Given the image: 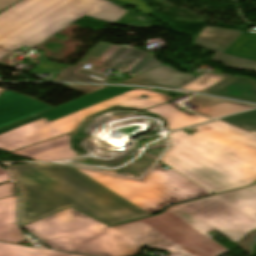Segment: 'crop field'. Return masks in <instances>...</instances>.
<instances>
[{
    "label": "crop field",
    "instance_id": "1",
    "mask_svg": "<svg viewBox=\"0 0 256 256\" xmlns=\"http://www.w3.org/2000/svg\"><path fill=\"white\" fill-rule=\"evenodd\" d=\"M24 227L53 249L74 253L134 256L145 245L170 256H219L229 250L207 233L235 243L256 229V184L110 228L72 208Z\"/></svg>",
    "mask_w": 256,
    "mask_h": 256
},
{
    "label": "crop field",
    "instance_id": "2",
    "mask_svg": "<svg viewBox=\"0 0 256 256\" xmlns=\"http://www.w3.org/2000/svg\"><path fill=\"white\" fill-rule=\"evenodd\" d=\"M169 134L172 147L160 161L210 191L219 193L256 181V136L217 121Z\"/></svg>",
    "mask_w": 256,
    "mask_h": 256
},
{
    "label": "crop field",
    "instance_id": "3",
    "mask_svg": "<svg viewBox=\"0 0 256 256\" xmlns=\"http://www.w3.org/2000/svg\"><path fill=\"white\" fill-rule=\"evenodd\" d=\"M22 194L21 226L73 207L108 225L149 216L102 185L68 166H9Z\"/></svg>",
    "mask_w": 256,
    "mask_h": 256
},
{
    "label": "crop field",
    "instance_id": "4",
    "mask_svg": "<svg viewBox=\"0 0 256 256\" xmlns=\"http://www.w3.org/2000/svg\"><path fill=\"white\" fill-rule=\"evenodd\" d=\"M127 10L107 0H22L0 14V60L23 46L36 47L78 19L114 24Z\"/></svg>",
    "mask_w": 256,
    "mask_h": 256
},
{
    "label": "crop field",
    "instance_id": "5",
    "mask_svg": "<svg viewBox=\"0 0 256 256\" xmlns=\"http://www.w3.org/2000/svg\"><path fill=\"white\" fill-rule=\"evenodd\" d=\"M158 164L143 182L79 170L147 213L155 214L172 203L207 195L208 191L173 170Z\"/></svg>",
    "mask_w": 256,
    "mask_h": 256
},
{
    "label": "crop field",
    "instance_id": "6",
    "mask_svg": "<svg viewBox=\"0 0 256 256\" xmlns=\"http://www.w3.org/2000/svg\"><path fill=\"white\" fill-rule=\"evenodd\" d=\"M141 96H147L149 98L141 99ZM170 100H172L170 97L162 94L145 91L143 89H133L127 93L80 110L52 123L47 121L45 118H42L3 133L0 135V149L10 152L39 141L51 139L68 133L72 131L84 117L112 105H120L143 110Z\"/></svg>",
    "mask_w": 256,
    "mask_h": 256
},
{
    "label": "crop field",
    "instance_id": "7",
    "mask_svg": "<svg viewBox=\"0 0 256 256\" xmlns=\"http://www.w3.org/2000/svg\"><path fill=\"white\" fill-rule=\"evenodd\" d=\"M194 43L216 52L211 60L219 61L228 68L252 71L256 66V64L225 55L256 58L255 34L206 27L196 37Z\"/></svg>",
    "mask_w": 256,
    "mask_h": 256
},
{
    "label": "crop field",
    "instance_id": "8",
    "mask_svg": "<svg viewBox=\"0 0 256 256\" xmlns=\"http://www.w3.org/2000/svg\"><path fill=\"white\" fill-rule=\"evenodd\" d=\"M129 48L100 42L77 64L74 66L68 65L53 81L103 83L107 75L81 68L89 63L94 64L92 70L103 72Z\"/></svg>",
    "mask_w": 256,
    "mask_h": 256
},
{
    "label": "crop field",
    "instance_id": "9",
    "mask_svg": "<svg viewBox=\"0 0 256 256\" xmlns=\"http://www.w3.org/2000/svg\"><path fill=\"white\" fill-rule=\"evenodd\" d=\"M133 88H127V87H107L102 90L93 92L91 94H88L86 96H83L81 98L75 99L73 101H70L68 103H65L63 105L57 106L55 108H52L44 113H41L39 115L33 116L31 118L25 119L23 121L14 123L12 125L6 126L4 128L0 129V134L3 132H6L8 130L14 129L16 127H19L21 125L27 124L29 122H32L34 120L40 119L42 117H45L50 122L59 119L61 117L67 116L69 114H72L80 109H83L85 107L91 106L93 104L102 102L104 100L110 99L114 96H117L119 94H122L124 92H127Z\"/></svg>",
    "mask_w": 256,
    "mask_h": 256
},
{
    "label": "crop field",
    "instance_id": "10",
    "mask_svg": "<svg viewBox=\"0 0 256 256\" xmlns=\"http://www.w3.org/2000/svg\"><path fill=\"white\" fill-rule=\"evenodd\" d=\"M52 108L25 95L4 90L0 94V128Z\"/></svg>",
    "mask_w": 256,
    "mask_h": 256
},
{
    "label": "crop field",
    "instance_id": "11",
    "mask_svg": "<svg viewBox=\"0 0 256 256\" xmlns=\"http://www.w3.org/2000/svg\"><path fill=\"white\" fill-rule=\"evenodd\" d=\"M69 137L70 135L55 138L11 153L39 161H56L75 157V152L69 146Z\"/></svg>",
    "mask_w": 256,
    "mask_h": 256
},
{
    "label": "crop field",
    "instance_id": "12",
    "mask_svg": "<svg viewBox=\"0 0 256 256\" xmlns=\"http://www.w3.org/2000/svg\"><path fill=\"white\" fill-rule=\"evenodd\" d=\"M193 78L194 76L191 74L181 73L169 66L162 65L156 69L125 80L123 83L178 88Z\"/></svg>",
    "mask_w": 256,
    "mask_h": 256
},
{
    "label": "crop field",
    "instance_id": "13",
    "mask_svg": "<svg viewBox=\"0 0 256 256\" xmlns=\"http://www.w3.org/2000/svg\"><path fill=\"white\" fill-rule=\"evenodd\" d=\"M202 93L256 102V80L245 76H232Z\"/></svg>",
    "mask_w": 256,
    "mask_h": 256
},
{
    "label": "crop field",
    "instance_id": "14",
    "mask_svg": "<svg viewBox=\"0 0 256 256\" xmlns=\"http://www.w3.org/2000/svg\"><path fill=\"white\" fill-rule=\"evenodd\" d=\"M18 195L0 199V240L20 244L25 241L16 220Z\"/></svg>",
    "mask_w": 256,
    "mask_h": 256
},
{
    "label": "crop field",
    "instance_id": "15",
    "mask_svg": "<svg viewBox=\"0 0 256 256\" xmlns=\"http://www.w3.org/2000/svg\"><path fill=\"white\" fill-rule=\"evenodd\" d=\"M155 57L133 47L112 69L125 72L133 77L163 64L154 59Z\"/></svg>",
    "mask_w": 256,
    "mask_h": 256
},
{
    "label": "crop field",
    "instance_id": "16",
    "mask_svg": "<svg viewBox=\"0 0 256 256\" xmlns=\"http://www.w3.org/2000/svg\"><path fill=\"white\" fill-rule=\"evenodd\" d=\"M189 101L201 107L197 110H194V112L204 117L224 116L233 114L237 111L246 110L254 107L200 96H195L191 98Z\"/></svg>",
    "mask_w": 256,
    "mask_h": 256
},
{
    "label": "crop field",
    "instance_id": "17",
    "mask_svg": "<svg viewBox=\"0 0 256 256\" xmlns=\"http://www.w3.org/2000/svg\"><path fill=\"white\" fill-rule=\"evenodd\" d=\"M143 112H150V113H155L163 116L170 130L179 128L182 126L190 125L193 123L209 120L206 118L199 117L195 114L188 117L187 115L178 111L176 108L169 105L168 103L148 109Z\"/></svg>",
    "mask_w": 256,
    "mask_h": 256
},
{
    "label": "crop field",
    "instance_id": "18",
    "mask_svg": "<svg viewBox=\"0 0 256 256\" xmlns=\"http://www.w3.org/2000/svg\"><path fill=\"white\" fill-rule=\"evenodd\" d=\"M0 256H75L65 253L26 248L25 246L0 242Z\"/></svg>",
    "mask_w": 256,
    "mask_h": 256
},
{
    "label": "crop field",
    "instance_id": "19",
    "mask_svg": "<svg viewBox=\"0 0 256 256\" xmlns=\"http://www.w3.org/2000/svg\"><path fill=\"white\" fill-rule=\"evenodd\" d=\"M115 24L121 25V26H126V27H131V28H137V29H151V28L157 26V24H155L143 17H140L130 11H128Z\"/></svg>",
    "mask_w": 256,
    "mask_h": 256
},
{
    "label": "crop field",
    "instance_id": "20",
    "mask_svg": "<svg viewBox=\"0 0 256 256\" xmlns=\"http://www.w3.org/2000/svg\"><path fill=\"white\" fill-rule=\"evenodd\" d=\"M243 129L256 131V111L239 114L221 119Z\"/></svg>",
    "mask_w": 256,
    "mask_h": 256
},
{
    "label": "crop field",
    "instance_id": "21",
    "mask_svg": "<svg viewBox=\"0 0 256 256\" xmlns=\"http://www.w3.org/2000/svg\"><path fill=\"white\" fill-rule=\"evenodd\" d=\"M224 78L221 76H218L213 73H207L198 79L194 80L193 82L189 83L188 85L182 87L183 90H192V91H200L212 84H215Z\"/></svg>",
    "mask_w": 256,
    "mask_h": 256
},
{
    "label": "crop field",
    "instance_id": "22",
    "mask_svg": "<svg viewBox=\"0 0 256 256\" xmlns=\"http://www.w3.org/2000/svg\"><path fill=\"white\" fill-rule=\"evenodd\" d=\"M117 1L122 2L124 4L135 5V6H137L136 10H138L144 14H147V15L155 12L143 0H117Z\"/></svg>",
    "mask_w": 256,
    "mask_h": 256
},
{
    "label": "crop field",
    "instance_id": "23",
    "mask_svg": "<svg viewBox=\"0 0 256 256\" xmlns=\"http://www.w3.org/2000/svg\"><path fill=\"white\" fill-rule=\"evenodd\" d=\"M68 87L72 88L74 90L80 91L82 93L88 94V93H91L93 91L102 89V88L107 87V86L70 85Z\"/></svg>",
    "mask_w": 256,
    "mask_h": 256
},
{
    "label": "crop field",
    "instance_id": "24",
    "mask_svg": "<svg viewBox=\"0 0 256 256\" xmlns=\"http://www.w3.org/2000/svg\"><path fill=\"white\" fill-rule=\"evenodd\" d=\"M17 194L13 182L0 186V198Z\"/></svg>",
    "mask_w": 256,
    "mask_h": 256
},
{
    "label": "crop field",
    "instance_id": "25",
    "mask_svg": "<svg viewBox=\"0 0 256 256\" xmlns=\"http://www.w3.org/2000/svg\"><path fill=\"white\" fill-rule=\"evenodd\" d=\"M19 1L20 0H0V13Z\"/></svg>",
    "mask_w": 256,
    "mask_h": 256
},
{
    "label": "crop field",
    "instance_id": "26",
    "mask_svg": "<svg viewBox=\"0 0 256 256\" xmlns=\"http://www.w3.org/2000/svg\"><path fill=\"white\" fill-rule=\"evenodd\" d=\"M10 180V177L6 170L0 168V182Z\"/></svg>",
    "mask_w": 256,
    "mask_h": 256
},
{
    "label": "crop field",
    "instance_id": "27",
    "mask_svg": "<svg viewBox=\"0 0 256 256\" xmlns=\"http://www.w3.org/2000/svg\"><path fill=\"white\" fill-rule=\"evenodd\" d=\"M253 72H256V67H255V69L253 70Z\"/></svg>",
    "mask_w": 256,
    "mask_h": 256
},
{
    "label": "crop field",
    "instance_id": "28",
    "mask_svg": "<svg viewBox=\"0 0 256 256\" xmlns=\"http://www.w3.org/2000/svg\"><path fill=\"white\" fill-rule=\"evenodd\" d=\"M3 91V89H0V93Z\"/></svg>",
    "mask_w": 256,
    "mask_h": 256
},
{
    "label": "crop field",
    "instance_id": "29",
    "mask_svg": "<svg viewBox=\"0 0 256 256\" xmlns=\"http://www.w3.org/2000/svg\"><path fill=\"white\" fill-rule=\"evenodd\" d=\"M253 133H256V132H253Z\"/></svg>",
    "mask_w": 256,
    "mask_h": 256
}]
</instances>
